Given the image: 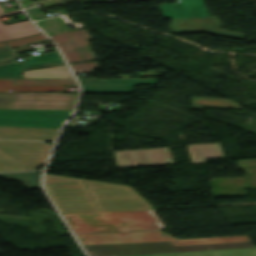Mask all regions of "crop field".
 I'll return each mask as SVG.
<instances>
[{
  "instance_id": "1",
  "label": "crop field",
  "mask_w": 256,
  "mask_h": 256,
  "mask_svg": "<svg viewBox=\"0 0 256 256\" xmlns=\"http://www.w3.org/2000/svg\"><path fill=\"white\" fill-rule=\"evenodd\" d=\"M82 180L88 186L97 211ZM45 188L61 213L153 209L130 186L45 174Z\"/></svg>"
},
{
  "instance_id": "2",
  "label": "crop field",
  "mask_w": 256,
  "mask_h": 256,
  "mask_svg": "<svg viewBox=\"0 0 256 256\" xmlns=\"http://www.w3.org/2000/svg\"><path fill=\"white\" fill-rule=\"evenodd\" d=\"M74 234L159 230L146 210L62 214Z\"/></svg>"
},
{
  "instance_id": "3",
  "label": "crop field",
  "mask_w": 256,
  "mask_h": 256,
  "mask_svg": "<svg viewBox=\"0 0 256 256\" xmlns=\"http://www.w3.org/2000/svg\"><path fill=\"white\" fill-rule=\"evenodd\" d=\"M254 247L252 242L201 244L172 247L170 242L84 246L90 256H121L147 253Z\"/></svg>"
},
{
  "instance_id": "4",
  "label": "crop field",
  "mask_w": 256,
  "mask_h": 256,
  "mask_svg": "<svg viewBox=\"0 0 256 256\" xmlns=\"http://www.w3.org/2000/svg\"><path fill=\"white\" fill-rule=\"evenodd\" d=\"M76 237L78 238L81 245L156 242V241L169 240L172 246H177V245L201 244V243L249 241L247 236L177 240L169 234H164L163 231L116 233V234H88V235H76Z\"/></svg>"
},
{
  "instance_id": "5",
  "label": "crop field",
  "mask_w": 256,
  "mask_h": 256,
  "mask_svg": "<svg viewBox=\"0 0 256 256\" xmlns=\"http://www.w3.org/2000/svg\"><path fill=\"white\" fill-rule=\"evenodd\" d=\"M76 95L63 93H0V108L72 110Z\"/></svg>"
},
{
  "instance_id": "6",
  "label": "crop field",
  "mask_w": 256,
  "mask_h": 256,
  "mask_svg": "<svg viewBox=\"0 0 256 256\" xmlns=\"http://www.w3.org/2000/svg\"><path fill=\"white\" fill-rule=\"evenodd\" d=\"M72 111L0 109V126L61 128Z\"/></svg>"
},
{
  "instance_id": "7",
  "label": "crop field",
  "mask_w": 256,
  "mask_h": 256,
  "mask_svg": "<svg viewBox=\"0 0 256 256\" xmlns=\"http://www.w3.org/2000/svg\"><path fill=\"white\" fill-rule=\"evenodd\" d=\"M52 146L45 142L0 141V155L12 163L35 169L45 163Z\"/></svg>"
},
{
  "instance_id": "8",
  "label": "crop field",
  "mask_w": 256,
  "mask_h": 256,
  "mask_svg": "<svg viewBox=\"0 0 256 256\" xmlns=\"http://www.w3.org/2000/svg\"><path fill=\"white\" fill-rule=\"evenodd\" d=\"M237 163L246 171V177L211 179L214 198L246 196L245 189H256V159L238 160Z\"/></svg>"
},
{
  "instance_id": "9",
  "label": "crop field",
  "mask_w": 256,
  "mask_h": 256,
  "mask_svg": "<svg viewBox=\"0 0 256 256\" xmlns=\"http://www.w3.org/2000/svg\"><path fill=\"white\" fill-rule=\"evenodd\" d=\"M59 45L69 63L96 59L88 40L92 37L86 29L51 36Z\"/></svg>"
},
{
  "instance_id": "10",
  "label": "crop field",
  "mask_w": 256,
  "mask_h": 256,
  "mask_svg": "<svg viewBox=\"0 0 256 256\" xmlns=\"http://www.w3.org/2000/svg\"><path fill=\"white\" fill-rule=\"evenodd\" d=\"M118 168L174 164L169 148L114 152Z\"/></svg>"
},
{
  "instance_id": "11",
  "label": "crop field",
  "mask_w": 256,
  "mask_h": 256,
  "mask_svg": "<svg viewBox=\"0 0 256 256\" xmlns=\"http://www.w3.org/2000/svg\"><path fill=\"white\" fill-rule=\"evenodd\" d=\"M83 93H131L135 84H156L157 79L78 78Z\"/></svg>"
},
{
  "instance_id": "12",
  "label": "crop field",
  "mask_w": 256,
  "mask_h": 256,
  "mask_svg": "<svg viewBox=\"0 0 256 256\" xmlns=\"http://www.w3.org/2000/svg\"><path fill=\"white\" fill-rule=\"evenodd\" d=\"M179 1L160 5L164 18L210 16L202 0Z\"/></svg>"
},
{
  "instance_id": "13",
  "label": "crop field",
  "mask_w": 256,
  "mask_h": 256,
  "mask_svg": "<svg viewBox=\"0 0 256 256\" xmlns=\"http://www.w3.org/2000/svg\"><path fill=\"white\" fill-rule=\"evenodd\" d=\"M60 130L0 127V139L55 141Z\"/></svg>"
},
{
  "instance_id": "14",
  "label": "crop field",
  "mask_w": 256,
  "mask_h": 256,
  "mask_svg": "<svg viewBox=\"0 0 256 256\" xmlns=\"http://www.w3.org/2000/svg\"><path fill=\"white\" fill-rule=\"evenodd\" d=\"M21 11L4 14L0 16L20 13ZM39 34V32L35 29V27L30 23V21H22L13 24L4 25L0 22V42L8 39L23 37Z\"/></svg>"
},
{
  "instance_id": "15",
  "label": "crop field",
  "mask_w": 256,
  "mask_h": 256,
  "mask_svg": "<svg viewBox=\"0 0 256 256\" xmlns=\"http://www.w3.org/2000/svg\"><path fill=\"white\" fill-rule=\"evenodd\" d=\"M191 163H203L206 158L224 157L220 143L187 145Z\"/></svg>"
},
{
  "instance_id": "16",
  "label": "crop field",
  "mask_w": 256,
  "mask_h": 256,
  "mask_svg": "<svg viewBox=\"0 0 256 256\" xmlns=\"http://www.w3.org/2000/svg\"><path fill=\"white\" fill-rule=\"evenodd\" d=\"M134 256H256V248L147 254Z\"/></svg>"
},
{
  "instance_id": "17",
  "label": "crop field",
  "mask_w": 256,
  "mask_h": 256,
  "mask_svg": "<svg viewBox=\"0 0 256 256\" xmlns=\"http://www.w3.org/2000/svg\"><path fill=\"white\" fill-rule=\"evenodd\" d=\"M191 101L192 107H188L191 109L202 110L203 107L242 109L239 104L230 99L191 97Z\"/></svg>"
},
{
  "instance_id": "18",
  "label": "crop field",
  "mask_w": 256,
  "mask_h": 256,
  "mask_svg": "<svg viewBox=\"0 0 256 256\" xmlns=\"http://www.w3.org/2000/svg\"><path fill=\"white\" fill-rule=\"evenodd\" d=\"M24 78H72L71 73L67 69L66 65L23 71Z\"/></svg>"
},
{
  "instance_id": "19",
  "label": "crop field",
  "mask_w": 256,
  "mask_h": 256,
  "mask_svg": "<svg viewBox=\"0 0 256 256\" xmlns=\"http://www.w3.org/2000/svg\"><path fill=\"white\" fill-rule=\"evenodd\" d=\"M40 176H41L40 173H35V172L0 173V177L18 180L29 189L41 188Z\"/></svg>"
},
{
  "instance_id": "20",
  "label": "crop field",
  "mask_w": 256,
  "mask_h": 256,
  "mask_svg": "<svg viewBox=\"0 0 256 256\" xmlns=\"http://www.w3.org/2000/svg\"><path fill=\"white\" fill-rule=\"evenodd\" d=\"M64 91V86H13L12 80H0V91Z\"/></svg>"
},
{
  "instance_id": "21",
  "label": "crop field",
  "mask_w": 256,
  "mask_h": 256,
  "mask_svg": "<svg viewBox=\"0 0 256 256\" xmlns=\"http://www.w3.org/2000/svg\"><path fill=\"white\" fill-rule=\"evenodd\" d=\"M14 85H76L73 79L13 80Z\"/></svg>"
},
{
  "instance_id": "22",
  "label": "crop field",
  "mask_w": 256,
  "mask_h": 256,
  "mask_svg": "<svg viewBox=\"0 0 256 256\" xmlns=\"http://www.w3.org/2000/svg\"><path fill=\"white\" fill-rule=\"evenodd\" d=\"M37 24L49 35L68 32L69 30L62 25L56 18L43 20Z\"/></svg>"
},
{
  "instance_id": "23",
  "label": "crop field",
  "mask_w": 256,
  "mask_h": 256,
  "mask_svg": "<svg viewBox=\"0 0 256 256\" xmlns=\"http://www.w3.org/2000/svg\"><path fill=\"white\" fill-rule=\"evenodd\" d=\"M20 70L18 63L1 65L0 78H18L20 77Z\"/></svg>"
},
{
  "instance_id": "24",
  "label": "crop field",
  "mask_w": 256,
  "mask_h": 256,
  "mask_svg": "<svg viewBox=\"0 0 256 256\" xmlns=\"http://www.w3.org/2000/svg\"><path fill=\"white\" fill-rule=\"evenodd\" d=\"M48 38L45 37L43 34L39 35H34V36H29V37H24V38H18V39H13V40H8L5 41L11 48L29 44L32 42H39L43 40H47Z\"/></svg>"
},
{
  "instance_id": "25",
  "label": "crop field",
  "mask_w": 256,
  "mask_h": 256,
  "mask_svg": "<svg viewBox=\"0 0 256 256\" xmlns=\"http://www.w3.org/2000/svg\"><path fill=\"white\" fill-rule=\"evenodd\" d=\"M17 57V52L12 50L5 42L0 43V63L10 62Z\"/></svg>"
},
{
  "instance_id": "26",
  "label": "crop field",
  "mask_w": 256,
  "mask_h": 256,
  "mask_svg": "<svg viewBox=\"0 0 256 256\" xmlns=\"http://www.w3.org/2000/svg\"><path fill=\"white\" fill-rule=\"evenodd\" d=\"M70 66L73 69L74 73L94 72L91 69H95L99 67L97 62L78 63V64H72Z\"/></svg>"
},
{
  "instance_id": "27",
  "label": "crop field",
  "mask_w": 256,
  "mask_h": 256,
  "mask_svg": "<svg viewBox=\"0 0 256 256\" xmlns=\"http://www.w3.org/2000/svg\"><path fill=\"white\" fill-rule=\"evenodd\" d=\"M21 170H26V169L16 166L12 163H9L0 157V172L21 171Z\"/></svg>"
},
{
  "instance_id": "28",
  "label": "crop field",
  "mask_w": 256,
  "mask_h": 256,
  "mask_svg": "<svg viewBox=\"0 0 256 256\" xmlns=\"http://www.w3.org/2000/svg\"><path fill=\"white\" fill-rule=\"evenodd\" d=\"M26 12L33 20L46 18L47 16L42 13L37 7L27 9Z\"/></svg>"
},
{
  "instance_id": "29",
  "label": "crop field",
  "mask_w": 256,
  "mask_h": 256,
  "mask_svg": "<svg viewBox=\"0 0 256 256\" xmlns=\"http://www.w3.org/2000/svg\"><path fill=\"white\" fill-rule=\"evenodd\" d=\"M155 72H157V71L145 72V73L140 72V73H138V76H156L157 73H155Z\"/></svg>"
},
{
  "instance_id": "30",
  "label": "crop field",
  "mask_w": 256,
  "mask_h": 256,
  "mask_svg": "<svg viewBox=\"0 0 256 256\" xmlns=\"http://www.w3.org/2000/svg\"><path fill=\"white\" fill-rule=\"evenodd\" d=\"M119 77H132V76H129V75H119Z\"/></svg>"
},
{
  "instance_id": "31",
  "label": "crop field",
  "mask_w": 256,
  "mask_h": 256,
  "mask_svg": "<svg viewBox=\"0 0 256 256\" xmlns=\"http://www.w3.org/2000/svg\"><path fill=\"white\" fill-rule=\"evenodd\" d=\"M4 11H3V9L0 7V13H3Z\"/></svg>"
}]
</instances>
